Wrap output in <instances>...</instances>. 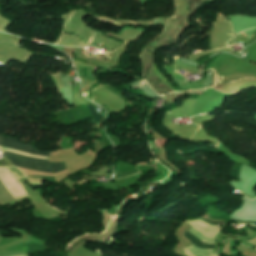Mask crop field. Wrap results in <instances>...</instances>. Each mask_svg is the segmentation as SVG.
Instances as JSON below:
<instances>
[{"mask_svg":"<svg viewBox=\"0 0 256 256\" xmlns=\"http://www.w3.org/2000/svg\"><path fill=\"white\" fill-rule=\"evenodd\" d=\"M4 154L10 158L15 166L18 167H24L51 173L66 169L64 162L49 163L45 160L33 159L22 155L11 154L7 152H4Z\"/></svg>","mask_w":256,"mask_h":256,"instance_id":"crop-field-1","label":"crop field"},{"mask_svg":"<svg viewBox=\"0 0 256 256\" xmlns=\"http://www.w3.org/2000/svg\"><path fill=\"white\" fill-rule=\"evenodd\" d=\"M0 144L5 145V146H9V147H13V148H17V149H22V150H26V151L35 152V153H39V154L49 156V153H47V152L34 150L31 146L20 144L16 140L6 138L4 136H0Z\"/></svg>","mask_w":256,"mask_h":256,"instance_id":"crop-field-2","label":"crop field"},{"mask_svg":"<svg viewBox=\"0 0 256 256\" xmlns=\"http://www.w3.org/2000/svg\"><path fill=\"white\" fill-rule=\"evenodd\" d=\"M186 237H188L194 244L202 247V248H213V245H207V244H203L201 243L199 240H197L193 235H191L190 233H184ZM186 253L188 256H192L188 250V248L185 249Z\"/></svg>","mask_w":256,"mask_h":256,"instance_id":"crop-field-3","label":"crop field"},{"mask_svg":"<svg viewBox=\"0 0 256 256\" xmlns=\"http://www.w3.org/2000/svg\"><path fill=\"white\" fill-rule=\"evenodd\" d=\"M88 110L91 112L93 116V121L95 123H100L102 120V115L97 114L96 109L92 105H87Z\"/></svg>","mask_w":256,"mask_h":256,"instance_id":"crop-field-4","label":"crop field"},{"mask_svg":"<svg viewBox=\"0 0 256 256\" xmlns=\"http://www.w3.org/2000/svg\"><path fill=\"white\" fill-rule=\"evenodd\" d=\"M243 34V33H242ZM243 35H245V34H243ZM246 36V35H245ZM247 37V36H246Z\"/></svg>","mask_w":256,"mask_h":256,"instance_id":"crop-field-5","label":"crop field"}]
</instances>
